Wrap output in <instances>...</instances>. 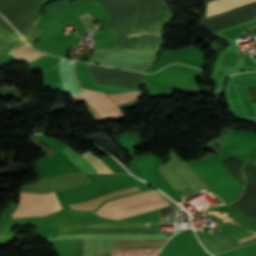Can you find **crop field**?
I'll list each match as a JSON object with an SVG mask.
<instances>
[{
	"label": "crop field",
	"mask_w": 256,
	"mask_h": 256,
	"mask_svg": "<svg viewBox=\"0 0 256 256\" xmlns=\"http://www.w3.org/2000/svg\"><path fill=\"white\" fill-rule=\"evenodd\" d=\"M93 83L138 89L143 74L88 65Z\"/></svg>",
	"instance_id": "4"
},
{
	"label": "crop field",
	"mask_w": 256,
	"mask_h": 256,
	"mask_svg": "<svg viewBox=\"0 0 256 256\" xmlns=\"http://www.w3.org/2000/svg\"><path fill=\"white\" fill-rule=\"evenodd\" d=\"M61 151L83 172L98 173L95 168L80 154L74 151L69 145Z\"/></svg>",
	"instance_id": "9"
},
{
	"label": "crop field",
	"mask_w": 256,
	"mask_h": 256,
	"mask_svg": "<svg viewBox=\"0 0 256 256\" xmlns=\"http://www.w3.org/2000/svg\"><path fill=\"white\" fill-rule=\"evenodd\" d=\"M160 249L110 250V256H155Z\"/></svg>",
	"instance_id": "12"
},
{
	"label": "crop field",
	"mask_w": 256,
	"mask_h": 256,
	"mask_svg": "<svg viewBox=\"0 0 256 256\" xmlns=\"http://www.w3.org/2000/svg\"><path fill=\"white\" fill-rule=\"evenodd\" d=\"M19 205L11 215L12 218L22 216H43L61 210L54 192L47 194L19 192Z\"/></svg>",
	"instance_id": "3"
},
{
	"label": "crop field",
	"mask_w": 256,
	"mask_h": 256,
	"mask_svg": "<svg viewBox=\"0 0 256 256\" xmlns=\"http://www.w3.org/2000/svg\"><path fill=\"white\" fill-rule=\"evenodd\" d=\"M17 60L31 61L37 56V52L33 51L26 43L22 42L14 49L8 51Z\"/></svg>",
	"instance_id": "11"
},
{
	"label": "crop field",
	"mask_w": 256,
	"mask_h": 256,
	"mask_svg": "<svg viewBox=\"0 0 256 256\" xmlns=\"http://www.w3.org/2000/svg\"><path fill=\"white\" fill-rule=\"evenodd\" d=\"M243 173L246 179L244 193L234 204L248 217L256 218V168L244 165Z\"/></svg>",
	"instance_id": "6"
},
{
	"label": "crop field",
	"mask_w": 256,
	"mask_h": 256,
	"mask_svg": "<svg viewBox=\"0 0 256 256\" xmlns=\"http://www.w3.org/2000/svg\"><path fill=\"white\" fill-rule=\"evenodd\" d=\"M230 93H231L232 102L234 104V107H235L236 111L240 115H245L243 110H242L239 98H238V96H237V94H236V92L234 90V85H232V84H230Z\"/></svg>",
	"instance_id": "15"
},
{
	"label": "crop field",
	"mask_w": 256,
	"mask_h": 256,
	"mask_svg": "<svg viewBox=\"0 0 256 256\" xmlns=\"http://www.w3.org/2000/svg\"><path fill=\"white\" fill-rule=\"evenodd\" d=\"M90 183L83 173L65 174L53 178H42L25 188L24 191L44 193L55 188L70 189L79 185Z\"/></svg>",
	"instance_id": "5"
},
{
	"label": "crop field",
	"mask_w": 256,
	"mask_h": 256,
	"mask_svg": "<svg viewBox=\"0 0 256 256\" xmlns=\"http://www.w3.org/2000/svg\"><path fill=\"white\" fill-rule=\"evenodd\" d=\"M110 28L117 30L116 48L155 50L165 12L160 0H96Z\"/></svg>",
	"instance_id": "1"
},
{
	"label": "crop field",
	"mask_w": 256,
	"mask_h": 256,
	"mask_svg": "<svg viewBox=\"0 0 256 256\" xmlns=\"http://www.w3.org/2000/svg\"><path fill=\"white\" fill-rule=\"evenodd\" d=\"M126 237H166L164 234H113V235H61L56 238H126Z\"/></svg>",
	"instance_id": "10"
},
{
	"label": "crop field",
	"mask_w": 256,
	"mask_h": 256,
	"mask_svg": "<svg viewBox=\"0 0 256 256\" xmlns=\"http://www.w3.org/2000/svg\"><path fill=\"white\" fill-rule=\"evenodd\" d=\"M80 19L83 25L85 26L88 34H90L93 30L97 29L95 25L92 23L95 22V20L88 13L80 16Z\"/></svg>",
	"instance_id": "14"
},
{
	"label": "crop field",
	"mask_w": 256,
	"mask_h": 256,
	"mask_svg": "<svg viewBox=\"0 0 256 256\" xmlns=\"http://www.w3.org/2000/svg\"><path fill=\"white\" fill-rule=\"evenodd\" d=\"M164 206H167L165 201L151 189L112 200L103 204L95 213L106 218L120 219Z\"/></svg>",
	"instance_id": "2"
},
{
	"label": "crop field",
	"mask_w": 256,
	"mask_h": 256,
	"mask_svg": "<svg viewBox=\"0 0 256 256\" xmlns=\"http://www.w3.org/2000/svg\"><path fill=\"white\" fill-rule=\"evenodd\" d=\"M108 97L114 101L117 105L126 103L129 101L140 99V91L110 94Z\"/></svg>",
	"instance_id": "13"
},
{
	"label": "crop field",
	"mask_w": 256,
	"mask_h": 256,
	"mask_svg": "<svg viewBox=\"0 0 256 256\" xmlns=\"http://www.w3.org/2000/svg\"><path fill=\"white\" fill-rule=\"evenodd\" d=\"M85 94V99L87 104L93 109V111L102 119H113L125 116L123 112L104 94L100 92H95V95L101 100V102L112 112H111L100 102V100L93 94L92 91L83 90Z\"/></svg>",
	"instance_id": "7"
},
{
	"label": "crop field",
	"mask_w": 256,
	"mask_h": 256,
	"mask_svg": "<svg viewBox=\"0 0 256 256\" xmlns=\"http://www.w3.org/2000/svg\"><path fill=\"white\" fill-rule=\"evenodd\" d=\"M255 1L256 0H214L207 3L206 17Z\"/></svg>",
	"instance_id": "8"
}]
</instances>
